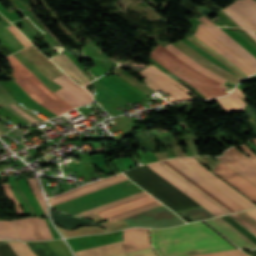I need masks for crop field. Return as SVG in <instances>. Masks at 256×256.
Segmentation results:
<instances>
[{
  "mask_svg": "<svg viewBox=\"0 0 256 256\" xmlns=\"http://www.w3.org/2000/svg\"><path fill=\"white\" fill-rule=\"evenodd\" d=\"M151 234L153 246L161 256H189L235 249L201 222L151 229Z\"/></svg>",
  "mask_w": 256,
  "mask_h": 256,
  "instance_id": "8a807250",
  "label": "crop field"
},
{
  "mask_svg": "<svg viewBox=\"0 0 256 256\" xmlns=\"http://www.w3.org/2000/svg\"><path fill=\"white\" fill-rule=\"evenodd\" d=\"M149 56L165 66L175 75L191 84L206 98L223 96L232 91L221 83L200 74L189 65L178 59L176 56L168 52L160 44Z\"/></svg>",
  "mask_w": 256,
  "mask_h": 256,
  "instance_id": "ac0d7876",
  "label": "crop field"
},
{
  "mask_svg": "<svg viewBox=\"0 0 256 256\" xmlns=\"http://www.w3.org/2000/svg\"><path fill=\"white\" fill-rule=\"evenodd\" d=\"M12 66L15 81L35 101L60 115L74 109L65 101L54 95L43 83H41L23 64L13 55L6 58Z\"/></svg>",
  "mask_w": 256,
  "mask_h": 256,
  "instance_id": "34b2d1b8",
  "label": "crop field"
},
{
  "mask_svg": "<svg viewBox=\"0 0 256 256\" xmlns=\"http://www.w3.org/2000/svg\"><path fill=\"white\" fill-rule=\"evenodd\" d=\"M154 198V197H153ZM144 191L77 214L84 216L95 212L113 222L162 206Z\"/></svg>",
  "mask_w": 256,
  "mask_h": 256,
  "instance_id": "412701ff",
  "label": "crop field"
},
{
  "mask_svg": "<svg viewBox=\"0 0 256 256\" xmlns=\"http://www.w3.org/2000/svg\"><path fill=\"white\" fill-rule=\"evenodd\" d=\"M138 74L144 77V83H146L152 89L155 91L160 89L163 92L173 96L178 102L182 100H192L193 98L187 95V93H190L195 96L196 99H199L189 89L176 82L151 63L146 70Z\"/></svg>",
  "mask_w": 256,
  "mask_h": 256,
  "instance_id": "f4fd0767",
  "label": "crop field"
},
{
  "mask_svg": "<svg viewBox=\"0 0 256 256\" xmlns=\"http://www.w3.org/2000/svg\"><path fill=\"white\" fill-rule=\"evenodd\" d=\"M178 160L180 162H182L184 165H186L187 167H189L191 170H193L195 173L200 175L206 181L211 183L213 186H215L221 192L226 194L232 200L237 202L243 208L248 209V208L256 207V205L254 203H252L250 200H248L242 194L237 192L235 189H233L231 186H229L223 180H221L216 175H214L212 172H210L208 169H206L204 166H202L195 157L182 158V159H178Z\"/></svg>",
  "mask_w": 256,
  "mask_h": 256,
  "instance_id": "dd49c442",
  "label": "crop field"
},
{
  "mask_svg": "<svg viewBox=\"0 0 256 256\" xmlns=\"http://www.w3.org/2000/svg\"><path fill=\"white\" fill-rule=\"evenodd\" d=\"M241 148L250 158H247L233 147L228 149L219 159L256 186V154L246 145H242Z\"/></svg>",
  "mask_w": 256,
  "mask_h": 256,
  "instance_id": "e52e79f7",
  "label": "crop field"
},
{
  "mask_svg": "<svg viewBox=\"0 0 256 256\" xmlns=\"http://www.w3.org/2000/svg\"><path fill=\"white\" fill-rule=\"evenodd\" d=\"M148 166L155 172H157L159 175H161L163 178H165L167 181H169L171 184L180 189L182 192H184L186 195H188L190 198H192L201 206H203L205 209H207L209 212H211L213 215L218 216L226 214L224 210L219 208L213 202L208 200L206 197H204L199 192L194 190L192 187H190L188 184H186L181 179L176 177L170 171L165 169L163 166L159 164V162L148 164Z\"/></svg>",
  "mask_w": 256,
  "mask_h": 256,
  "instance_id": "d8731c3e",
  "label": "crop field"
},
{
  "mask_svg": "<svg viewBox=\"0 0 256 256\" xmlns=\"http://www.w3.org/2000/svg\"><path fill=\"white\" fill-rule=\"evenodd\" d=\"M188 39L190 41H192L193 43H195L196 45H198L199 47H201L202 49H204L206 52H208L209 54H211L212 56H214L216 59H218L221 63H223L225 66L229 67L232 71H234L238 76H240L242 79H244L245 77L238 72L236 69H234L232 66H230L226 61H224L223 59H221L220 57H218L217 55L213 54L212 52H210L209 50L205 49L204 47H202L201 45H199L197 42H195L193 39H191L190 37H188ZM180 50L184 51L185 53H187L190 57H192L196 62H198L199 64L203 65L204 67H206L207 69L213 71L214 73L228 79L229 81H231L233 84H237L238 82H240L242 79L234 76L233 74L225 71L224 69L216 66L215 64L209 62L208 60L204 59L203 57H201L199 54H197L195 51H193L191 48H189L187 45H185L182 41H180L177 46ZM200 48V49H201Z\"/></svg>",
  "mask_w": 256,
  "mask_h": 256,
  "instance_id": "5a996713",
  "label": "crop field"
},
{
  "mask_svg": "<svg viewBox=\"0 0 256 256\" xmlns=\"http://www.w3.org/2000/svg\"><path fill=\"white\" fill-rule=\"evenodd\" d=\"M55 82L59 83L63 87L59 89L57 92H55L56 95H58L60 98L64 99L67 101L69 104H71L73 107H78L81 105H86L90 103L89 101H93V98L90 97L92 96L87 90L83 89L80 87L78 84H76L74 81H72L69 77H67L65 74L57 77L54 79ZM90 96H88L87 94ZM84 93V94H82ZM82 94V95H80ZM86 98L80 97V96Z\"/></svg>",
  "mask_w": 256,
  "mask_h": 256,
  "instance_id": "3316defc",
  "label": "crop field"
},
{
  "mask_svg": "<svg viewBox=\"0 0 256 256\" xmlns=\"http://www.w3.org/2000/svg\"><path fill=\"white\" fill-rule=\"evenodd\" d=\"M21 240L53 239L45 219L14 220Z\"/></svg>",
  "mask_w": 256,
  "mask_h": 256,
  "instance_id": "28ad6ade",
  "label": "crop field"
},
{
  "mask_svg": "<svg viewBox=\"0 0 256 256\" xmlns=\"http://www.w3.org/2000/svg\"><path fill=\"white\" fill-rule=\"evenodd\" d=\"M202 41L212 47L214 50L219 52L225 58L229 59L233 62L238 68H240L244 73L250 76L253 73H256L255 70L250 67L246 62H244L240 57L234 54L231 50L225 47L222 43H220L216 38H214L211 34H209L205 29L201 26H198L197 32L195 34Z\"/></svg>",
  "mask_w": 256,
  "mask_h": 256,
  "instance_id": "d1516ede",
  "label": "crop field"
},
{
  "mask_svg": "<svg viewBox=\"0 0 256 256\" xmlns=\"http://www.w3.org/2000/svg\"><path fill=\"white\" fill-rule=\"evenodd\" d=\"M126 179H128V178L125 177L123 174L116 175V176H113V177H109V178H106V179H103V180H99V181H96V182H93V183L86 184V185H84V186H82L78 189L72 190V191L67 192L65 194L50 198L49 202H50L51 206H54V205H57L59 203L71 200L73 198H76V197L82 196L84 194L96 191L98 189L107 187L109 185L121 182V181L126 180Z\"/></svg>",
  "mask_w": 256,
  "mask_h": 256,
  "instance_id": "22f410ed",
  "label": "crop field"
},
{
  "mask_svg": "<svg viewBox=\"0 0 256 256\" xmlns=\"http://www.w3.org/2000/svg\"><path fill=\"white\" fill-rule=\"evenodd\" d=\"M76 256H114L125 253L123 241L74 252ZM119 256H157L152 248Z\"/></svg>",
  "mask_w": 256,
  "mask_h": 256,
  "instance_id": "cbeb9de0",
  "label": "crop field"
},
{
  "mask_svg": "<svg viewBox=\"0 0 256 256\" xmlns=\"http://www.w3.org/2000/svg\"><path fill=\"white\" fill-rule=\"evenodd\" d=\"M213 172L256 203V187L224 163L221 162Z\"/></svg>",
  "mask_w": 256,
  "mask_h": 256,
  "instance_id": "5142ce71",
  "label": "crop field"
},
{
  "mask_svg": "<svg viewBox=\"0 0 256 256\" xmlns=\"http://www.w3.org/2000/svg\"><path fill=\"white\" fill-rule=\"evenodd\" d=\"M211 226H213L216 230L222 233L225 237H227L230 241H232L235 245L241 248H256V244L242 235L239 231L229 225L220 217L206 220Z\"/></svg>",
  "mask_w": 256,
  "mask_h": 256,
  "instance_id": "d9b57169",
  "label": "crop field"
},
{
  "mask_svg": "<svg viewBox=\"0 0 256 256\" xmlns=\"http://www.w3.org/2000/svg\"><path fill=\"white\" fill-rule=\"evenodd\" d=\"M205 28L209 33L216 37L225 46L231 49L234 53L244 59L250 66L256 70V58L251 55L248 51L242 48L238 43H236L231 37H229L223 30L219 27H209L204 24H199Z\"/></svg>",
  "mask_w": 256,
  "mask_h": 256,
  "instance_id": "733c2abd",
  "label": "crop field"
},
{
  "mask_svg": "<svg viewBox=\"0 0 256 256\" xmlns=\"http://www.w3.org/2000/svg\"><path fill=\"white\" fill-rule=\"evenodd\" d=\"M170 164H172L173 166H175L177 169H179L180 171H182L184 174H186L188 177H190L191 179H193L195 182H197L198 184H200L202 187H204L205 189H207L209 192H211L212 194H214L216 197H218L220 200H222L223 202H225L227 205H229L230 207H232L234 210L239 211V210H243V208L241 206H239L237 203H235L234 201H232L230 198H228L226 195H224L223 193H221L219 190H217L215 187H213L212 185H210L208 182H206L204 179H202L200 176H198L197 174H195L193 171H191L189 168H187L186 166H184L182 163H180L178 160L176 159H171V160H167Z\"/></svg>",
  "mask_w": 256,
  "mask_h": 256,
  "instance_id": "4a817a6b",
  "label": "crop field"
},
{
  "mask_svg": "<svg viewBox=\"0 0 256 256\" xmlns=\"http://www.w3.org/2000/svg\"><path fill=\"white\" fill-rule=\"evenodd\" d=\"M123 234L126 253L150 247L148 229L133 228Z\"/></svg>",
  "mask_w": 256,
  "mask_h": 256,
  "instance_id": "bc2a9ffb",
  "label": "crop field"
},
{
  "mask_svg": "<svg viewBox=\"0 0 256 256\" xmlns=\"http://www.w3.org/2000/svg\"><path fill=\"white\" fill-rule=\"evenodd\" d=\"M234 91L245 100L249 98L237 87ZM234 91L228 96L215 99L228 114V116L234 112H242L247 108V103L240 99Z\"/></svg>",
  "mask_w": 256,
  "mask_h": 256,
  "instance_id": "214f88e0",
  "label": "crop field"
},
{
  "mask_svg": "<svg viewBox=\"0 0 256 256\" xmlns=\"http://www.w3.org/2000/svg\"><path fill=\"white\" fill-rule=\"evenodd\" d=\"M161 165H163L165 168H167L168 170H170L172 173H174L176 176H178L179 178H181L183 181H185L186 183H188L190 186H192L193 188H195L197 191H199L201 194H203L204 196H206L208 199H210L211 201H213L215 204H217L219 207H221L222 209H224L226 212L231 213V212H235L232 208H230L229 206H227L225 203H223L222 201H220L218 198H216L214 195H212L211 193H209L207 190H205L204 188H202L200 185H198L197 183H195L193 180H191L190 178H188L186 175H184L182 172H180L179 170H177L175 167H173L172 165H170L168 162L166 161H162L160 162Z\"/></svg>",
  "mask_w": 256,
  "mask_h": 256,
  "instance_id": "92a150f3",
  "label": "crop field"
},
{
  "mask_svg": "<svg viewBox=\"0 0 256 256\" xmlns=\"http://www.w3.org/2000/svg\"><path fill=\"white\" fill-rule=\"evenodd\" d=\"M229 7L256 30V2L254 0H237Z\"/></svg>",
  "mask_w": 256,
  "mask_h": 256,
  "instance_id": "dafd665d",
  "label": "crop field"
},
{
  "mask_svg": "<svg viewBox=\"0 0 256 256\" xmlns=\"http://www.w3.org/2000/svg\"><path fill=\"white\" fill-rule=\"evenodd\" d=\"M58 57L63 60L71 69H73L81 78H83L87 83L91 82L86 75L65 55H58ZM57 56L51 58L57 65H59L63 70H65L68 75L74 78L79 84H87L83 79H81L73 70H71L63 61H61ZM64 71V72H65ZM65 72V73H66Z\"/></svg>",
  "mask_w": 256,
  "mask_h": 256,
  "instance_id": "00972430",
  "label": "crop field"
},
{
  "mask_svg": "<svg viewBox=\"0 0 256 256\" xmlns=\"http://www.w3.org/2000/svg\"><path fill=\"white\" fill-rule=\"evenodd\" d=\"M166 49H168L170 52H172L173 54H175L177 57H179L181 60H183L184 62H186L187 64H189L191 67H193L194 69H196L197 71L201 72L202 74L213 78L221 83H223L224 81H226V79L214 74L213 72L207 70L206 68L202 67L201 65H199L198 63H196L193 59H191L187 54L183 53L182 51H180L179 49H177L173 44H169L167 46H165Z\"/></svg>",
  "mask_w": 256,
  "mask_h": 256,
  "instance_id": "a9b5d70f",
  "label": "crop field"
},
{
  "mask_svg": "<svg viewBox=\"0 0 256 256\" xmlns=\"http://www.w3.org/2000/svg\"><path fill=\"white\" fill-rule=\"evenodd\" d=\"M229 216L256 236V220H254L248 214L241 212L231 214Z\"/></svg>",
  "mask_w": 256,
  "mask_h": 256,
  "instance_id": "4177f3b9",
  "label": "crop field"
},
{
  "mask_svg": "<svg viewBox=\"0 0 256 256\" xmlns=\"http://www.w3.org/2000/svg\"><path fill=\"white\" fill-rule=\"evenodd\" d=\"M0 239H19L13 221H0Z\"/></svg>",
  "mask_w": 256,
  "mask_h": 256,
  "instance_id": "730fd06b",
  "label": "crop field"
},
{
  "mask_svg": "<svg viewBox=\"0 0 256 256\" xmlns=\"http://www.w3.org/2000/svg\"><path fill=\"white\" fill-rule=\"evenodd\" d=\"M17 256H37L26 242H8Z\"/></svg>",
  "mask_w": 256,
  "mask_h": 256,
  "instance_id": "eef30255",
  "label": "crop field"
},
{
  "mask_svg": "<svg viewBox=\"0 0 256 256\" xmlns=\"http://www.w3.org/2000/svg\"><path fill=\"white\" fill-rule=\"evenodd\" d=\"M27 180H28V182H29L37 200L39 201L40 205L42 206L44 212L47 215L46 201H45V199H44V197H43V195L40 191V188H39L36 180L34 178H30V179H27Z\"/></svg>",
  "mask_w": 256,
  "mask_h": 256,
  "instance_id": "ae1a2a85",
  "label": "crop field"
},
{
  "mask_svg": "<svg viewBox=\"0 0 256 256\" xmlns=\"http://www.w3.org/2000/svg\"><path fill=\"white\" fill-rule=\"evenodd\" d=\"M4 190H5V194L8 198V200L10 201H13L14 204H15V209H16V213H24L19 202L17 201L16 197L14 196L10 186H9V183H5V184H2Z\"/></svg>",
  "mask_w": 256,
  "mask_h": 256,
  "instance_id": "d3111659",
  "label": "crop field"
},
{
  "mask_svg": "<svg viewBox=\"0 0 256 256\" xmlns=\"http://www.w3.org/2000/svg\"><path fill=\"white\" fill-rule=\"evenodd\" d=\"M231 18L237 21L242 28L252 29L242 18H240L231 8L228 6L223 9ZM236 22V23H237ZM253 30V29H252Z\"/></svg>",
  "mask_w": 256,
  "mask_h": 256,
  "instance_id": "750c4746",
  "label": "crop field"
},
{
  "mask_svg": "<svg viewBox=\"0 0 256 256\" xmlns=\"http://www.w3.org/2000/svg\"><path fill=\"white\" fill-rule=\"evenodd\" d=\"M246 255L240 250H233V251L218 252V253L196 255V256H246Z\"/></svg>",
  "mask_w": 256,
  "mask_h": 256,
  "instance_id": "bd1437ed",
  "label": "crop field"
},
{
  "mask_svg": "<svg viewBox=\"0 0 256 256\" xmlns=\"http://www.w3.org/2000/svg\"><path fill=\"white\" fill-rule=\"evenodd\" d=\"M8 29L16 36V38L25 46L31 45V43L23 36V34L15 27L10 26Z\"/></svg>",
  "mask_w": 256,
  "mask_h": 256,
  "instance_id": "1d83c4d3",
  "label": "crop field"
},
{
  "mask_svg": "<svg viewBox=\"0 0 256 256\" xmlns=\"http://www.w3.org/2000/svg\"><path fill=\"white\" fill-rule=\"evenodd\" d=\"M150 61L152 62V63H154L156 66H158L160 69H162L164 72L165 71H167V69L166 68H164L162 65H160L159 63H157L155 60H153L151 57H150ZM169 71V70H168ZM173 74V73H172ZM173 77H175L177 80L178 79H180V78H178L177 76H173ZM181 80V79H180ZM184 85H186L187 87H189L190 89H192L193 91H195L202 99H205V97L202 95V94H200L195 88H193L192 86H190L188 83H186L185 81H184V83H183Z\"/></svg>",
  "mask_w": 256,
  "mask_h": 256,
  "instance_id": "120bbe31",
  "label": "crop field"
},
{
  "mask_svg": "<svg viewBox=\"0 0 256 256\" xmlns=\"http://www.w3.org/2000/svg\"><path fill=\"white\" fill-rule=\"evenodd\" d=\"M12 178H13V181H14V183H15V186H16V188H17V190H18V192H19V194H20L22 200L24 201V203H25L26 206L28 207V209H29V211L31 212V214H34V215H35L34 211L32 210L31 206L29 205L28 201L26 200V198H25V196H24V194H23V192H22V190H21V188H20V186H19V184H18V182H17V180H16V177H12Z\"/></svg>",
  "mask_w": 256,
  "mask_h": 256,
  "instance_id": "d32e631a",
  "label": "crop field"
},
{
  "mask_svg": "<svg viewBox=\"0 0 256 256\" xmlns=\"http://www.w3.org/2000/svg\"><path fill=\"white\" fill-rule=\"evenodd\" d=\"M192 38L194 40H196L198 43H200L202 46L208 48L209 50L213 51L214 53H216L217 55H219L221 58H223L224 60H226L230 65H232L234 68H236L238 71H240L245 77H247L246 74H244L240 69H238L235 65H233L231 62H229L227 59H225L224 57H222L220 54H218L216 51H214L212 48H210L209 46H207L205 43H203L201 40H199L197 37H195L194 35L192 36Z\"/></svg>",
  "mask_w": 256,
  "mask_h": 256,
  "instance_id": "5866460e",
  "label": "crop field"
},
{
  "mask_svg": "<svg viewBox=\"0 0 256 256\" xmlns=\"http://www.w3.org/2000/svg\"><path fill=\"white\" fill-rule=\"evenodd\" d=\"M10 107H12L14 110H16L18 113H20L23 117L27 118L28 120H30L33 123H38V121L32 119L27 113H25L24 111L20 110L19 108H17L14 104L10 105Z\"/></svg>",
  "mask_w": 256,
  "mask_h": 256,
  "instance_id": "028f5c9d",
  "label": "crop field"
},
{
  "mask_svg": "<svg viewBox=\"0 0 256 256\" xmlns=\"http://www.w3.org/2000/svg\"><path fill=\"white\" fill-rule=\"evenodd\" d=\"M200 21L208 24V25H215L213 24L209 19H207L205 16L199 19ZM216 26V25H215Z\"/></svg>",
  "mask_w": 256,
  "mask_h": 256,
  "instance_id": "e1f06a70",
  "label": "crop field"
},
{
  "mask_svg": "<svg viewBox=\"0 0 256 256\" xmlns=\"http://www.w3.org/2000/svg\"><path fill=\"white\" fill-rule=\"evenodd\" d=\"M250 216H252L254 219H256V208L246 211Z\"/></svg>",
  "mask_w": 256,
  "mask_h": 256,
  "instance_id": "0bd39190",
  "label": "crop field"
},
{
  "mask_svg": "<svg viewBox=\"0 0 256 256\" xmlns=\"http://www.w3.org/2000/svg\"><path fill=\"white\" fill-rule=\"evenodd\" d=\"M246 31L256 39V32L249 31V30H246Z\"/></svg>",
  "mask_w": 256,
  "mask_h": 256,
  "instance_id": "b80d0937",
  "label": "crop field"
},
{
  "mask_svg": "<svg viewBox=\"0 0 256 256\" xmlns=\"http://www.w3.org/2000/svg\"><path fill=\"white\" fill-rule=\"evenodd\" d=\"M246 145H247L248 147H251V146H254L255 144L249 140Z\"/></svg>",
  "mask_w": 256,
  "mask_h": 256,
  "instance_id": "c035e120",
  "label": "crop field"
},
{
  "mask_svg": "<svg viewBox=\"0 0 256 256\" xmlns=\"http://www.w3.org/2000/svg\"><path fill=\"white\" fill-rule=\"evenodd\" d=\"M251 141H253V142L256 144V139H253V140H251Z\"/></svg>",
  "mask_w": 256,
  "mask_h": 256,
  "instance_id": "c21b1889",
  "label": "crop field"
},
{
  "mask_svg": "<svg viewBox=\"0 0 256 256\" xmlns=\"http://www.w3.org/2000/svg\"><path fill=\"white\" fill-rule=\"evenodd\" d=\"M0 135H2V134L0 133Z\"/></svg>",
  "mask_w": 256,
  "mask_h": 256,
  "instance_id": "03da06ac",
  "label": "crop field"
},
{
  "mask_svg": "<svg viewBox=\"0 0 256 256\" xmlns=\"http://www.w3.org/2000/svg\"><path fill=\"white\" fill-rule=\"evenodd\" d=\"M256 1V0H255Z\"/></svg>",
  "mask_w": 256,
  "mask_h": 256,
  "instance_id": "b54c1fbb",
  "label": "crop field"
}]
</instances>
